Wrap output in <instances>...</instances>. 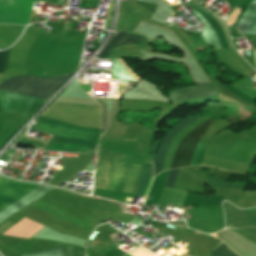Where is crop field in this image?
<instances>
[{
  "mask_svg": "<svg viewBox=\"0 0 256 256\" xmlns=\"http://www.w3.org/2000/svg\"><path fill=\"white\" fill-rule=\"evenodd\" d=\"M140 166L124 165L120 153L100 147L96 187L131 193L137 181ZM149 179H152V165H142L138 181L132 193L143 196ZM150 183L151 180L149 181L148 188Z\"/></svg>",
  "mask_w": 256,
  "mask_h": 256,
  "instance_id": "crop-field-1",
  "label": "crop field"
},
{
  "mask_svg": "<svg viewBox=\"0 0 256 256\" xmlns=\"http://www.w3.org/2000/svg\"><path fill=\"white\" fill-rule=\"evenodd\" d=\"M30 129L53 135L44 150L93 154L100 130L39 116Z\"/></svg>",
  "mask_w": 256,
  "mask_h": 256,
  "instance_id": "crop-field-2",
  "label": "crop field"
},
{
  "mask_svg": "<svg viewBox=\"0 0 256 256\" xmlns=\"http://www.w3.org/2000/svg\"><path fill=\"white\" fill-rule=\"evenodd\" d=\"M195 119L197 118H186L183 121L175 124L168 131L162 144L160 145L157 151L156 158L153 162L154 176L157 175L158 173L163 172L165 154L175 136ZM212 122L213 120L209 119L205 123L197 127L195 130L186 135V137L180 142L178 149L174 155L172 168L189 166L199 139L202 137V135L205 133V131Z\"/></svg>",
  "mask_w": 256,
  "mask_h": 256,
  "instance_id": "crop-field-3",
  "label": "crop field"
},
{
  "mask_svg": "<svg viewBox=\"0 0 256 256\" xmlns=\"http://www.w3.org/2000/svg\"><path fill=\"white\" fill-rule=\"evenodd\" d=\"M41 184L24 183L8 179L0 175V211L17 201ZM53 187L41 185L14 204L0 212V223L18 212L23 207L40 199L46 192Z\"/></svg>",
  "mask_w": 256,
  "mask_h": 256,
  "instance_id": "crop-field-4",
  "label": "crop field"
},
{
  "mask_svg": "<svg viewBox=\"0 0 256 256\" xmlns=\"http://www.w3.org/2000/svg\"><path fill=\"white\" fill-rule=\"evenodd\" d=\"M70 74H65L62 76L52 78H40L35 76H16L3 82L0 85V90L27 94L46 99ZM72 74L60 86H62L72 76Z\"/></svg>",
  "mask_w": 256,
  "mask_h": 256,
  "instance_id": "crop-field-5",
  "label": "crop field"
},
{
  "mask_svg": "<svg viewBox=\"0 0 256 256\" xmlns=\"http://www.w3.org/2000/svg\"><path fill=\"white\" fill-rule=\"evenodd\" d=\"M189 3H191L192 5H194L195 7H197L204 13H206L207 15L213 16V14H211L209 11H207L205 8H203L201 5L195 3L191 0ZM191 4H188V5L190 7H192L194 10H196L199 14H201L204 18H206L212 24L213 28L215 29V31L220 39L222 49H230L229 45L226 41L225 34H224L221 26L219 25V23L215 20L218 23L217 24L212 18H210L209 16H207L206 14H204L203 12H201L200 10H198L197 8L192 6ZM198 13H196L194 11L191 14L194 15L204 25L203 30H202V35H201L203 41L206 44L212 46L213 49H221L219 39H218L217 35L215 34L211 24L206 19H204L202 16H200Z\"/></svg>",
  "mask_w": 256,
  "mask_h": 256,
  "instance_id": "crop-field-6",
  "label": "crop field"
},
{
  "mask_svg": "<svg viewBox=\"0 0 256 256\" xmlns=\"http://www.w3.org/2000/svg\"><path fill=\"white\" fill-rule=\"evenodd\" d=\"M217 95L212 84L193 85L175 89L169 92L170 101H182L187 99H197Z\"/></svg>",
  "mask_w": 256,
  "mask_h": 256,
  "instance_id": "crop-field-7",
  "label": "crop field"
},
{
  "mask_svg": "<svg viewBox=\"0 0 256 256\" xmlns=\"http://www.w3.org/2000/svg\"><path fill=\"white\" fill-rule=\"evenodd\" d=\"M237 24L243 35H256V0L249 3ZM237 24L235 27L239 34H242Z\"/></svg>",
  "mask_w": 256,
  "mask_h": 256,
  "instance_id": "crop-field-8",
  "label": "crop field"
},
{
  "mask_svg": "<svg viewBox=\"0 0 256 256\" xmlns=\"http://www.w3.org/2000/svg\"><path fill=\"white\" fill-rule=\"evenodd\" d=\"M120 63L126 68V70L138 81L140 78L133 73L129 67L124 63L122 59H118ZM117 59H112V68H111V79H115L119 82H122L128 85L130 82L137 83L138 81L135 80L126 70L125 68L119 63Z\"/></svg>",
  "mask_w": 256,
  "mask_h": 256,
  "instance_id": "crop-field-9",
  "label": "crop field"
},
{
  "mask_svg": "<svg viewBox=\"0 0 256 256\" xmlns=\"http://www.w3.org/2000/svg\"><path fill=\"white\" fill-rule=\"evenodd\" d=\"M143 38L134 36L132 34L126 33L124 31L120 32L107 45L104 51L98 56V58H106V56L111 52V50L118 45L128 44V43H141Z\"/></svg>",
  "mask_w": 256,
  "mask_h": 256,
  "instance_id": "crop-field-10",
  "label": "crop field"
},
{
  "mask_svg": "<svg viewBox=\"0 0 256 256\" xmlns=\"http://www.w3.org/2000/svg\"><path fill=\"white\" fill-rule=\"evenodd\" d=\"M251 0H237L235 6L239 7V8H244V6ZM234 7V9L232 10V12L230 13V15L228 16V18L225 21V23L227 24V26L229 27L230 25H232L234 22L237 21L239 15L242 12V9L236 8ZM234 28V24L229 27V32H231V30Z\"/></svg>",
  "mask_w": 256,
  "mask_h": 256,
  "instance_id": "crop-field-11",
  "label": "crop field"
},
{
  "mask_svg": "<svg viewBox=\"0 0 256 256\" xmlns=\"http://www.w3.org/2000/svg\"><path fill=\"white\" fill-rule=\"evenodd\" d=\"M209 256H238L224 243L218 244Z\"/></svg>",
  "mask_w": 256,
  "mask_h": 256,
  "instance_id": "crop-field-12",
  "label": "crop field"
},
{
  "mask_svg": "<svg viewBox=\"0 0 256 256\" xmlns=\"http://www.w3.org/2000/svg\"><path fill=\"white\" fill-rule=\"evenodd\" d=\"M21 256H64V249L63 246L50 250V251H46V252H40V253H32V254H24Z\"/></svg>",
  "mask_w": 256,
  "mask_h": 256,
  "instance_id": "crop-field-13",
  "label": "crop field"
},
{
  "mask_svg": "<svg viewBox=\"0 0 256 256\" xmlns=\"http://www.w3.org/2000/svg\"><path fill=\"white\" fill-rule=\"evenodd\" d=\"M65 256H71V246H64ZM72 256H84V249L72 246Z\"/></svg>",
  "mask_w": 256,
  "mask_h": 256,
  "instance_id": "crop-field-14",
  "label": "crop field"
},
{
  "mask_svg": "<svg viewBox=\"0 0 256 256\" xmlns=\"http://www.w3.org/2000/svg\"><path fill=\"white\" fill-rule=\"evenodd\" d=\"M179 169L170 170L164 187L172 188Z\"/></svg>",
  "mask_w": 256,
  "mask_h": 256,
  "instance_id": "crop-field-15",
  "label": "crop field"
},
{
  "mask_svg": "<svg viewBox=\"0 0 256 256\" xmlns=\"http://www.w3.org/2000/svg\"><path fill=\"white\" fill-rule=\"evenodd\" d=\"M128 255L130 256H155L152 253H150L149 251L139 247L137 249H135L133 252L129 253ZM126 255V256H128Z\"/></svg>",
  "mask_w": 256,
  "mask_h": 256,
  "instance_id": "crop-field-16",
  "label": "crop field"
},
{
  "mask_svg": "<svg viewBox=\"0 0 256 256\" xmlns=\"http://www.w3.org/2000/svg\"><path fill=\"white\" fill-rule=\"evenodd\" d=\"M9 50L0 51V68L6 67L7 61H8Z\"/></svg>",
  "mask_w": 256,
  "mask_h": 256,
  "instance_id": "crop-field-17",
  "label": "crop field"
},
{
  "mask_svg": "<svg viewBox=\"0 0 256 256\" xmlns=\"http://www.w3.org/2000/svg\"><path fill=\"white\" fill-rule=\"evenodd\" d=\"M224 88L228 89L232 93L236 94L239 98L245 100L246 102H248L250 104L253 102V100H251L250 98L246 97L245 95H243L242 93L236 91L235 89H233L231 87L225 86Z\"/></svg>",
  "mask_w": 256,
  "mask_h": 256,
  "instance_id": "crop-field-18",
  "label": "crop field"
}]
</instances>
